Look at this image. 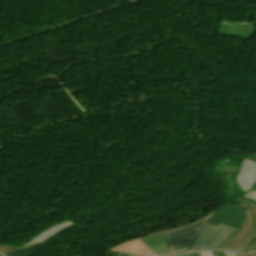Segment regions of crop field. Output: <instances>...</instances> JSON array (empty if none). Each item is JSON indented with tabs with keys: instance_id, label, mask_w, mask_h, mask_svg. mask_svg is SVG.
<instances>
[{
	"instance_id": "crop-field-1",
	"label": "crop field",
	"mask_w": 256,
	"mask_h": 256,
	"mask_svg": "<svg viewBox=\"0 0 256 256\" xmlns=\"http://www.w3.org/2000/svg\"><path fill=\"white\" fill-rule=\"evenodd\" d=\"M213 212L189 224L171 230L162 231L170 254L173 255L189 251L196 238L210 220Z\"/></svg>"
},
{
	"instance_id": "crop-field-2",
	"label": "crop field",
	"mask_w": 256,
	"mask_h": 256,
	"mask_svg": "<svg viewBox=\"0 0 256 256\" xmlns=\"http://www.w3.org/2000/svg\"><path fill=\"white\" fill-rule=\"evenodd\" d=\"M238 230L221 224L218 227L208 224L196 240L191 251L217 249Z\"/></svg>"
},
{
	"instance_id": "crop-field-3",
	"label": "crop field",
	"mask_w": 256,
	"mask_h": 256,
	"mask_svg": "<svg viewBox=\"0 0 256 256\" xmlns=\"http://www.w3.org/2000/svg\"><path fill=\"white\" fill-rule=\"evenodd\" d=\"M245 219V208L240 205H226L215 210L209 224L219 223L241 228Z\"/></svg>"
},
{
	"instance_id": "crop-field-4",
	"label": "crop field",
	"mask_w": 256,
	"mask_h": 256,
	"mask_svg": "<svg viewBox=\"0 0 256 256\" xmlns=\"http://www.w3.org/2000/svg\"><path fill=\"white\" fill-rule=\"evenodd\" d=\"M240 205H243L246 208V219L244 225L237 233L234 234L232 238L229 239L228 242L222 245L219 249L233 250L249 235L254 226V221L249 208L242 203H240Z\"/></svg>"
},
{
	"instance_id": "crop-field-5",
	"label": "crop field",
	"mask_w": 256,
	"mask_h": 256,
	"mask_svg": "<svg viewBox=\"0 0 256 256\" xmlns=\"http://www.w3.org/2000/svg\"><path fill=\"white\" fill-rule=\"evenodd\" d=\"M111 252H124L137 256H157L137 238L109 249Z\"/></svg>"
},
{
	"instance_id": "crop-field-6",
	"label": "crop field",
	"mask_w": 256,
	"mask_h": 256,
	"mask_svg": "<svg viewBox=\"0 0 256 256\" xmlns=\"http://www.w3.org/2000/svg\"><path fill=\"white\" fill-rule=\"evenodd\" d=\"M236 180L242 190L251 188L256 181V163L244 160Z\"/></svg>"
},
{
	"instance_id": "crop-field-7",
	"label": "crop field",
	"mask_w": 256,
	"mask_h": 256,
	"mask_svg": "<svg viewBox=\"0 0 256 256\" xmlns=\"http://www.w3.org/2000/svg\"><path fill=\"white\" fill-rule=\"evenodd\" d=\"M138 239L141 240L145 245H147L151 250H153L157 255L159 256L170 255L161 231L158 233L139 237Z\"/></svg>"
},
{
	"instance_id": "crop-field-8",
	"label": "crop field",
	"mask_w": 256,
	"mask_h": 256,
	"mask_svg": "<svg viewBox=\"0 0 256 256\" xmlns=\"http://www.w3.org/2000/svg\"><path fill=\"white\" fill-rule=\"evenodd\" d=\"M235 201L243 202L247 206H249L255 220V226L253 231L235 250L245 251V252L256 250V204L249 201L241 200L238 198L235 199Z\"/></svg>"
},
{
	"instance_id": "crop-field-9",
	"label": "crop field",
	"mask_w": 256,
	"mask_h": 256,
	"mask_svg": "<svg viewBox=\"0 0 256 256\" xmlns=\"http://www.w3.org/2000/svg\"><path fill=\"white\" fill-rule=\"evenodd\" d=\"M75 224L69 220V221H66L64 223H61L57 226H54L48 230H46L45 232L39 234L38 236H36L34 239H32L30 242H28L26 245L24 246H27V245H31V244H35V243H38V242H42V241H45L55 235H57L58 233L74 226Z\"/></svg>"
},
{
	"instance_id": "crop-field-10",
	"label": "crop field",
	"mask_w": 256,
	"mask_h": 256,
	"mask_svg": "<svg viewBox=\"0 0 256 256\" xmlns=\"http://www.w3.org/2000/svg\"><path fill=\"white\" fill-rule=\"evenodd\" d=\"M18 249H20V248L0 245V250L4 253H12Z\"/></svg>"
},
{
	"instance_id": "crop-field-11",
	"label": "crop field",
	"mask_w": 256,
	"mask_h": 256,
	"mask_svg": "<svg viewBox=\"0 0 256 256\" xmlns=\"http://www.w3.org/2000/svg\"><path fill=\"white\" fill-rule=\"evenodd\" d=\"M244 159H245V158H244ZM246 159L256 162V154L249 155V156L246 157ZM253 190H256V182H255V184L253 185V187H252L250 190L247 191V193L250 192V191H253Z\"/></svg>"
},
{
	"instance_id": "crop-field-12",
	"label": "crop field",
	"mask_w": 256,
	"mask_h": 256,
	"mask_svg": "<svg viewBox=\"0 0 256 256\" xmlns=\"http://www.w3.org/2000/svg\"><path fill=\"white\" fill-rule=\"evenodd\" d=\"M243 197L250 198V199L256 201V191L251 192V193H249V194H246V195H244Z\"/></svg>"
},
{
	"instance_id": "crop-field-13",
	"label": "crop field",
	"mask_w": 256,
	"mask_h": 256,
	"mask_svg": "<svg viewBox=\"0 0 256 256\" xmlns=\"http://www.w3.org/2000/svg\"><path fill=\"white\" fill-rule=\"evenodd\" d=\"M237 256H256V252H254V253H237Z\"/></svg>"
},
{
	"instance_id": "crop-field-14",
	"label": "crop field",
	"mask_w": 256,
	"mask_h": 256,
	"mask_svg": "<svg viewBox=\"0 0 256 256\" xmlns=\"http://www.w3.org/2000/svg\"><path fill=\"white\" fill-rule=\"evenodd\" d=\"M214 256H225L223 251H212Z\"/></svg>"
},
{
	"instance_id": "crop-field-15",
	"label": "crop field",
	"mask_w": 256,
	"mask_h": 256,
	"mask_svg": "<svg viewBox=\"0 0 256 256\" xmlns=\"http://www.w3.org/2000/svg\"><path fill=\"white\" fill-rule=\"evenodd\" d=\"M201 256H213L210 251L200 252Z\"/></svg>"
},
{
	"instance_id": "crop-field-16",
	"label": "crop field",
	"mask_w": 256,
	"mask_h": 256,
	"mask_svg": "<svg viewBox=\"0 0 256 256\" xmlns=\"http://www.w3.org/2000/svg\"><path fill=\"white\" fill-rule=\"evenodd\" d=\"M224 253H225L226 256H236L235 252L230 253V252L224 251Z\"/></svg>"
},
{
	"instance_id": "crop-field-17",
	"label": "crop field",
	"mask_w": 256,
	"mask_h": 256,
	"mask_svg": "<svg viewBox=\"0 0 256 256\" xmlns=\"http://www.w3.org/2000/svg\"><path fill=\"white\" fill-rule=\"evenodd\" d=\"M192 254H193V256H200L199 252H194Z\"/></svg>"
},
{
	"instance_id": "crop-field-18",
	"label": "crop field",
	"mask_w": 256,
	"mask_h": 256,
	"mask_svg": "<svg viewBox=\"0 0 256 256\" xmlns=\"http://www.w3.org/2000/svg\"><path fill=\"white\" fill-rule=\"evenodd\" d=\"M179 256H192L191 253H187V254H183V255H179Z\"/></svg>"
},
{
	"instance_id": "crop-field-19",
	"label": "crop field",
	"mask_w": 256,
	"mask_h": 256,
	"mask_svg": "<svg viewBox=\"0 0 256 256\" xmlns=\"http://www.w3.org/2000/svg\"><path fill=\"white\" fill-rule=\"evenodd\" d=\"M107 255H111V254H107ZM111 256H125V255H111Z\"/></svg>"
},
{
	"instance_id": "crop-field-20",
	"label": "crop field",
	"mask_w": 256,
	"mask_h": 256,
	"mask_svg": "<svg viewBox=\"0 0 256 256\" xmlns=\"http://www.w3.org/2000/svg\"><path fill=\"white\" fill-rule=\"evenodd\" d=\"M0 256H2V255H0Z\"/></svg>"
}]
</instances>
